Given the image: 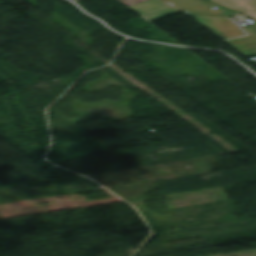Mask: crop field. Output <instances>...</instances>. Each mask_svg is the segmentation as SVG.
<instances>
[{"label": "crop field", "instance_id": "8a807250", "mask_svg": "<svg viewBox=\"0 0 256 256\" xmlns=\"http://www.w3.org/2000/svg\"><path fill=\"white\" fill-rule=\"evenodd\" d=\"M220 39H228L245 33L230 20L193 18Z\"/></svg>", "mask_w": 256, "mask_h": 256}, {"label": "crop field", "instance_id": "ac0d7876", "mask_svg": "<svg viewBox=\"0 0 256 256\" xmlns=\"http://www.w3.org/2000/svg\"><path fill=\"white\" fill-rule=\"evenodd\" d=\"M134 12L150 22L164 16L179 12L178 10L158 1L151 0L133 7H130Z\"/></svg>", "mask_w": 256, "mask_h": 256}, {"label": "crop field", "instance_id": "34b2d1b8", "mask_svg": "<svg viewBox=\"0 0 256 256\" xmlns=\"http://www.w3.org/2000/svg\"><path fill=\"white\" fill-rule=\"evenodd\" d=\"M225 7L243 11L256 20V0H213Z\"/></svg>", "mask_w": 256, "mask_h": 256}, {"label": "crop field", "instance_id": "412701ff", "mask_svg": "<svg viewBox=\"0 0 256 256\" xmlns=\"http://www.w3.org/2000/svg\"><path fill=\"white\" fill-rule=\"evenodd\" d=\"M226 42L244 55L256 53V34L227 40Z\"/></svg>", "mask_w": 256, "mask_h": 256}]
</instances>
